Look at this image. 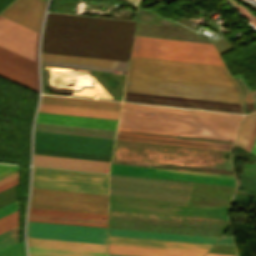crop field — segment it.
Wrapping results in <instances>:
<instances>
[{
  "label": "crop field",
  "instance_id": "1",
  "mask_svg": "<svg viewBox=\"0 0 256 256\" xmlns=\"http://www.w3.org/2000/svg\"><path fill=\"white\" fill-rule=\"evenodd\" d=\"M125 90L242 102L224 66L136 56Z\"/></svg>",
  "mask_w": 256,
  "mask_h": 256
},
{
  "label": "crop field",
  "instance_id": "2",
  "mask_svg": "<svg viewBox=\"0 0 256 256\" xmlns=\"http://www.w3.org/2000/svg\"><path fill=\"white\" fill-rule=\"evenodd\" d=\"M154 117L121 113L118 126L234 138L241 120L126 109ZM118 127V130L233 141L230 138ZM118 131L116 139L230 151L233 142Z\"/></svg>",
  "mask_w": 256,
  "mask_h": 256
},
{
  "label": "crop field",
  "instance_id": "3",
  "mask_svg": "<svg viewBox=\"0 0 256 256\" xmlns=\"http://www.w3.org/2000/svg\"><path fill=\"white\" fill-rule=\"evenodd\" d=\"M39 33L0 16V75L38 92Z\"/></svg>",
  "mask_w": 256,
  "mask_h": 256
},
{
  "label": "crop field",
  "instance_id": "4",
  "mask_svg": "<svg viewBox=\"0 0 256 256\" xmlns=\"http://www.w3.org/2000/svg\"><path fill=\"white\" fill-rule=\"evenodd\" d=\"M193 184L109 175V195L186 203Z\"/></svg>",
  "mask_w": 256,
  "mask_h": 256
},
{
  "label": "crop field",
  "instance_id": "5",
  "mask_svg": "<svg viewBox=\"0 0 256 256\" xmlns=\"http://www.w3.org/2000/svg\"><path fill=\"white\" fill-rule=\"evenodd\" d=\"M132 55L223 64L213 45L139 37Z\"/></svg>",
  "mask_w": 256,
  "mask_h": 256
},
{
  "label": "crop field",
  "instance_id": "6",
  "mask_svg": "<svg viewBox=\"0 0 256 256\" xmlns=\"http://www.w3.org/2000/svg\"><path fill=\"white\" fill-rule=\"evenodd\" d=\"M37 188L107 195V174L33 167Z\"/></svg>",
  "mask_w": 256,
  "mask_h": 256
},
{
  "label": "crop field",
  "instance_id": "7",
  "mask_svg": "<svg viewBox=\"0 0 256 256\" xmlns=\"http://www.w3.org/2000/svg\"><path fill=\"white\" fill-rule=\"evenodd\" d=\"M30 207L107 215V196L33 188Z\"/></svg>",
  "mask_w": 256,
  "mask_h": 256
},
{
  "label": "crop field",
  "instance_id": "8",
  "mask_svg": "<svg viewBox=\"0 0 256 256\" xmlns=\"http://www.w3.org/2000/svg\"><path fill=\"white\" fill-rule=\"evenodd\" d=\"M28 237L107 244V228L28 221Z\"/></svg>",
  "mask_w": 256,
  "mask_h": 256
},
{
  "label": "crop field",
  "instance_id": "9",
  "mask_svg": "<svg viewBox=\"0 0 256 256\" xmlns=\"http://www.w3.org/2000/svg\"><path fill=\"white\" fill-rule=\"evenodd\" d=\"M123 101L243 113L242 103L125 91Z\"/></svg>",
  "mask_w": 256,
  "mask_h": 256
},
{
  "label": "crop field",
  "instance_id": "10",
  "mask_svg": "<svg viewBox=\"0 0 256 256\" xmlns=\"http://www.w3.org/2000/svg\"><path fill=\"white\" fill-rule=\"evenodd\" d=\"M110 173L235 186L233 176L111 164Z\"/></svg>",
  "mask_w": 256,
  "mask_h": 256
},
{
  "label": "crop field",
  "instance_id": "11",
  "mask_svg": "<svg viewBox=\"0 0 256 256\" xmlns=\"http://www.w3.org/2000/svg\"><path fill=\"white\" fill-rule=\"evenodd\" d=\"M28 220L107 227V216L34 208Z\"/></svg>",
  "mask_w": 256,
  "mask_h": 256
},
{
  "label": "crop field",
  "instance_id": "12",
  "mask_svg": "<svg viewBox=\"0 0 256 256\" xmlns=\"http://www.w3.org/2000/svg\"><path fill=\"white\" fill-rule=\"evenodd\" d=\"M41 64L105 71L127 70L128 62L41 53Z\"/></svg>",
  "mask_w": 256,
  "mask_h": 256
},
{
  "label": "crop field",
  "instance_id": "13",
  "mask_svg": "<svg viewBox=\"0 0 256 256\" xmlns=\"http://www.w3.org/2000/svg\"><path fill=\"white\" fill-rule=\"evenodd\" d=\"M45 5V0H16L1 14L39 31Z\"/></svg>",
  "mask_w": 256,
  "mask_h": 256
},
{
  "label": "crop field",
  "instance_id": "14",
  "mask_svg": "<svg viewBox=\"0 0 256 256\" xmlns=\"http://www.w3.org/2000/svg\"><path fill=\"white\" fill-rule=\"evenodd\" d=\"M110 162L34 154V165L104 172Z\"/></svg>",
  "mask_w": 256,
  "mask_h": 256
},
{
  "label": "crop field",
  "instance_id": "15",
  "mask_svg": "<svg viewBox=\"0 0 256 256\" xmlns=\"http://www.w3.org/2000/svg\"><path fill=\"white\" fill-rule=\"evenodd\" d=\"M36 122L115 130L117 120L39 112Z\"/></svg>",
  "mask_w": 256,
  "mask_h": 256
},
{
  "label": "crop field",
  "instance_id": "16",
  "mask_svg": "<svg viewBox=\"0 0 256 256\" xmlns=\"http://www.w3.org/2000/svg\"><path fill=\"white\" fill-rule=\"evenodd\" d=\"M109 244L207 252L211 245L109 236Z\"/></svg>",
  "mask_w": 256,
  "mask_h": 256
},
{
  "label": "crop field",
  "instance_id": "17",
  "mask_svg": "<svg viewBox=\"0 0 256 256\" xmlns=\"http://www.w3.org/2000/svg\"><path fill=\"white\" fill-rule=\"evenodd\" d=\"M109 235L214 244L218 238L109 228Z\"/></svg>",
  "mask_w": 256,
  "mask_h": 256
},
{
  "label": "crop field",
  "instance_id": "18",
  "mask_svg": "<svg viewBox=\"0 0 256 256\" xmlns=\"http://www.w3.org/2000/svg\"><path fill=\"white\" fill-rule=\"evenodd\" d=\"M41 103L105 109V110H115V111H119L120 105H121L120 103H115V102H105V101L48 96V95H42Z\"/></svg>",
  "mask_w": 256,
  "mask_h": 256
},
{
  "label": "crop field",
  "instance_id": "19",
  "mask_svg": "<svg viewBox=\"0 0 256 256\" xmlns=\"http://www.w3.org/2000/svg\"><path fill=\"white\" fill-rule=\"evenodd\" d=\"M29 246L107 253V245L28 238Z\"/></svg>",
  "mask_w": 256,
  "mask_h": 256
},
{
  "label": "crop field",
  "instance_id": "20",
  "mask_svg": "<svg viewBox=\"0 0 256 256\" xmlns=\"http://www.w3.org/2000/svg\"><path fill=\"white\" fill-rule=\"evenodd\" d=\"M109 253L137 256H203L205 253L109 245Z\"/></svg>",
  "mask_w": 256,
  "mask_h": 256
},
{
  "label": "crop field",
  "instance_id": "21",
  "mask_svg": "<svg viewBox=\"0 0 256 256\" xmlns=\"http://www.w3.org/2000/svg\"><path fill=\"white\" fill-rule=\"evenodd\" d=\"M39 111L63 113V114H73V115H83V116H93V117H103V118H113V119H117L118 113H119V112H115V111H105V110L55 106V105H45V104H41Z\"/></svg>",
  "mask_w": 256,
  "mask_h": 256
},
{
  "label": "crop field",
  "instance_id": "22",
  "mask_svg": "<svg viewBox=\"0 0 256 256\" xmlns=\"http://www.w3.org/2000/svg\"><path fill=\"white\" fill-rule=\"evenodd\" d=\"M255 137L256 113H252L244 116L234 144L240 145L250 151Z\"/></svg>",
  "mask_w": 256,
  "mask_h": 256
},
{
  "label": "crop field",
  "instance_id": "23",
  "mask_svg": "<svg viewBox=\"0 0 256 256\" xmlns=\"http://www.w3.org/2000/svg\"><path fill=\"white\" fill-rule=\"evenodd\" d=\"M122 107L147 109V110H157V111H167V112H177V113H187V114H197V115H207V116H217V117H227V118H237V119H241V117H242V115H237V114L187 110V109L148 106V105H138V104H128V103H123Z\"/></svg>",
  "mask_w": 256,
  "mask_h": 256
},
{
  "label": "crop field",
  "instance_id": "24",
  "mask_svg": "<svg viewBox=\"0 0 256 256\" xmlns=\"http://www.w3.org/2000/svg\"><path fill=\"white\" fill-rule=\"evenodd\" d=\"M29 253L57 255V256H107V254H102V253L79 252V251L45 249V248H34V247H29Z\"/></svg>",
  "mask_w": 256,
  "mask_h": 256
},
{
  "label": "crop field",
  "instance_id": "25",
  "mask_svg": "<svg viewBox=\"0 0 256 256\" xmlns=\"http://www.w3.org/2000/svg\"><path fill=\"white\" fill-rule=\"evenodd\" d=\"M18 243V225L0 233V251Z\"/></svg>",
  "mask_w": 256,
  "mask_h": 256
},
{
  "label": "crop field",
  "instance_id": "26",
  "mask_svg": "<svg viewBox=\"0 0 256 256\" xmlns=\"http://www.w3.org/2000/svg\"><path fill=\"white\" fill-rule=\"evenodd\" d=\"M18 224V210L0 218V232Z\"/></svg>",
  "mask_w": 256,
  "mask_h": 256
},
{
  "label": "crop field",
  "instance_id": "27",
  "mask_svg": "<svg viewBox=\"0 0 256 256\" xmlns=\"http://www.w3.org/2000/svg\"><path fill=\"white\" fill-rule=\"evenodd\" d=\"M0 256H25L24 241L0 252Z\"/></svg>",
  "mask_w": 256,
  "mask_h": 256
},
{
  "label": "crop field",
  "instance_id": "28",
  "mask_svg": "<svg viewBox=\"0 0 256 256\" xmlns=\"http://www.w3.org/2000/svg\"><path fill=\"white\" fill-rule=\"evenodd\" d=\"M18 183V172L0 180V191L7 189Z\"/></svg>",
  "mask_w": 256,
  "mask_h": 256
},
{
  "label": "crop field",
  "instance_id": "29",
  "mask_svg": "<svg viewBox=\"0 0 256 256\" xmlns=\"http://www.w3.org/2000/svg\"><path fill=\"white\" fill-rule=\"evenodd\" d=\"M17 209H18V199L7 205L0 207V217L7 215Z\"/></svg>",
  "mask_w": 256,
  "mask_h": 256
},
{
  "label": "crop field",
  "instance_id": "30",
  "mask_svg": "<svg viewBox=\"0 0 256 256\" xmlns=\"http://www.w3.org/2000/svg\"><path fill=\"white\" fill-rule=\"evenodd\" d=\"M17 168L18 166L15 165L0 164V176L7 174Z\"/></svg>",
  "mask_w": 256,
  "mask_h": 256
},
{
  "label": "crop field",
  "instance_id": "31",
  "mask_svg": "<svg viewBox=\"0 0 256 256\" xmlns=\"http://www.w3.org/2000/svg\"><path fill=\"white\" fill-rule=\"evenodd\" d=\"M216 244L234 245L231 237L223 236Z\"/></svg>",
  "mask_w": 256,
  "mask_h": 256
},
{
  "label": "crop field",
  "instance_id": "32",
  "mask_svg": "<svg viewBox=\"0 0 256 256\" xmlns=\"http://www.w3.org/2000/svg\"><path fill=\"white\" fill-rule=\"evenodd\" d=\"M205 256H232V255H222V254L207 253Z\"/></svg>",
  "mask_w": 256,
  "mask_h": 256
},
{
  "label": "crop field",
  "instance_id": "33",
  "mask_svg": "<svg viewBox=\"0 0 256 256\" xmlns=\"http://www.w3.org/2000/svg\"><path fill=\"white\" fill-rule=\"evenodd\" d=\"M251 151L254 152V153H256V140H255V142H254V145H253V148H252Z\"/></svg>",
  "mask_w": 256,
  "mask_h": 256
},
{
  "label": "crop field",
  "instance_id": "34",
  "mask_svg": "<svg viewBox=\"0 0 256 256\" xmlns=\"http://www.w3.org/2000/svg\"><path fill=\"white\" fill-rule=\"evenodd\" d=\"M130 1H134V2H136L138 4L141 0H130Z\"/></svg>",
  "mask_w": 256,
  "mask_h": 256
},
{
  "label": "crop field",
  "instance_id": "35",
  "mask_svg": "<svg viewBox=\"0 0 256 256\" xmlns=\"http://www.w3.org/2000/svg\"><path fill=\"white\" fill-rule=\"evenodd\" d=\"M29 256H45V255H34V254H29Z\"/></svg>",
  "mask_w": 256,
  "mask_h": 256
},
{
  "label": "crop field",
  "instance_id": "36",
  "mask_svg": "<svg viewBox=\"0 0 256 256\" xmlns=\"http://www.w3.org/2000/svg\"><path fill=\"white\" fill-rule=\"evenodd\" d=\"M109 256H125V255H114V254H109Z\"/></svg>",
  "mask_w": 256,
  "mask_h": 256
}]
</instances>
